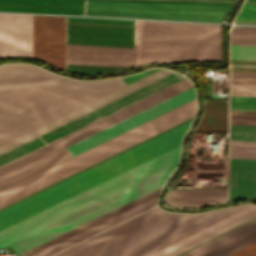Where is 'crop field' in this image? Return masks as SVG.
<instances>
[{
	"mask_svg": "<svg viewBox=\"0 0 256 256\" xmlns=\"http://www.w3.org/2000/svg\"><path fill=\"white\" fill-rule=\"evenodd\" d=\"M126 86L77 81L27 64L0 66V145Z\"/></svg>",
	"mask_w": 256,
	"mask_h": 256,
	"instance_id": "2",
	"label": "crop field"
},
{
	"mask_svg": "<svg viewBox=\"0 0 256 256\" xmlns=\"http://www.w3.org/2000/svg\"><path fill=\"white\" fill-rule=\"evenodd\" d=\"M33 58L65 71V17L33 15Z\"/></svg>",
	"mask_w": 256,
	"mask_h": 256,
	"instance_id": "10",
	"label": "crop field"
},
{
	"mask_svg": "<svg viewBox=\"0 0 256 256\" xmlns=\"http://www.w3.org/2000/svg\"><path fill=\"white\" fill-rule=\"evenodd\" d=\"M255 209H256V205H252V206H250V207H248V208H246V209H244V210H242V211H240V212H238V213H236V214H234V215H232V216H230L212 226H209V227H207V228H205V229H203V230H201V231H199V232H197V233H195V234H193V235H191V236H189V237H187L169 247H166L150 256H161V255H163L175 248H178V247H180V246H182V245H184V244H186V243H188V242H190V241H192V240H194V239H196V238H198V237H200L218 227H221V226H223V225H225V224H227V223H229V222H231V221H233V220H235V219H237Z\"/></svg>",
	"mask_w": 256,
	"mask_h": 256,
	"instance_id": "21",
	"label": "crop field"
},
{
	"mask_svg": "<svg viewBox=\"0 0 256 256\" xmlns=\"http://www.w3.org/2000/svg\"><path fill=\"white\" fill-rule=\"evenodd\" d=\"M71 157L56 141L0 167V190Z\"/></svg>",
	"mask_w": 256,
	"mask_h": 256,
	"instance_id": "12",
	"label": "crop field"
},
{
	"mask_svg": "<svg viewBox=\"0 0 256 256\" xmlns=\"http://www.w3.org/2000/svg\"><path fill=\"white\" fill-rule=\"evenodd\" d=\"M183 80L174 72L0 154V166Z\"/></svg>",
	"mask_w": 256,
	"mask_h": 256,
	"instance_id": "9",
	"label": "crop field"
},
{
	"mask_svg": "<svg viewBox=\"0 0 256 256\" xmlns=\"http://www.w3.org/2000/svg\"><path fill=\"white\" fill-rule=\"evenodd\" d=\"M256 197V160L230 159V201Z\"/></svg>",
	"mask_w": 256,
	"mask_h": 256,
	"instance_id": "17",
	"label": "crop field"
},
{
	"mask_svg": "<svg viewBox=\"0 0 256 256\" xmlns=\"http://www.w3.org/2000/svg\"><path fill=\"white\" fill-rule=\"evenodd\" d=\"M192 84L183 80L167 89H164L146 99H143L127 108H124L108 117H105L89 126H86L68 136H65L57 142L63 147H67L87 136H90L114 123H117L139 111H142L166 98H169L189 87H191Z\"/></svg>",
	"mask_w": 256,
	"mask_h": 256,
	"instance_id": "14",
	"label": "crop field"
},
{
	"mask_svg": "<svg viewBox=\"0 0 256 256\" xmlns=\"http://www.w3.org/2000/svg\"><path fill=\"white\" fill-rule=\"evenodd\" d=\"M230 139L256 140V126L230 125Z\"/></svg>",
	"mask_w": 256,
	"mask_h": 256,
	"instance_id": "26",
	"label": "crop field"
},
{
	"mask_svg": "<svg viewBox=\"0 0 256 256\" xmlns=\"http://www.w3.org/2000/svg\"><path fill=\"white\" fill-rule=\"evenodd\" d=\"M236 20L256 21V3H244Z\"/></svg>",
	"mask_w": 256,
	"mask_h": 256,
	"instance_id": "31",
	"label": "crop field"
},
{
	"mask_svg": "<svg viewBox=\"0 0 256 256\" xmlns=\"http://www.w3.org/2000/svg\"><path fill=\"white\" fill-rule=\"evenodd\" d=\"M180 145L32 215L0 231V248L11 247L17 254L100 214L162 187L174 170ZM158 189V188H157ZM156 190V189H155ZM156 190L66 234H63L28 252L29 256H48L103 229L140 213L154 205L159 193Z\"/></svg>",
	"mask_w": 256,
	"mask_h": 256,
	"instance_id": "1",
	"label": "crop field"
},
{
	"mask_svg": "<svg viewBox=\"0 0 256 256\" xmlns=\"http://www.w3.org/2000/svg\"><path fill=\"white\" fill-rule=\"evenodd\" d=\"M130 68V20L66 17V71L93 75Z\"/></svg>",
	"mask_w": 256,
	"mask_h": 256,
	"instance_id": "5",
	"label": "crop field"
},
{
	"mask_svg": "<svg viewBox=\"0 0 256 256\" xmlns=\"http://www.w3.org/2000/svg\"><path fill=\"white\" fill-rule=\"evenodd\" d=\"M229 256H256V242Z\"/></svg>",
	"mask_w": 256,
	"mask_h": 256,
	"instance_id": "33",
	"label": "crop field"
},
{
	"mask_svg": "<svg viewBox=\"0 0 256 256\" xmlns=\"http://www.w3.org/2000/svg\"><path fill=\"white\" fill-rule=\"evenodd\" d=\"M230 95L256 96V85L231 84Z\"/></svg>",
	"mask_w": 256,
	"mask_h": 256,
	"instance_id": "32",
	"label": "crop field"
},
{
	"mask_svg": "<svg viewBox=\"0 0 256 256\" xmlns=\"http://www.w3.org/2000/svg\"><path fill=\"white\" fill-rule=\"evenodd\" d=\"M256 230V219L229 231L189 252H186L180 256H205L253 231Z\"/></svg>",
	"mask_w": 256,
	"mask_h": 256,
	"instance_id": "19",
	"label": "crop field"
},
{
	"mask_svg": "<svg viewBox=\"0 0 256 256\" xmlns=\"http://www.w3.org/2000/svg\"><path fill=\"white\" fill-rule=\"evenodd\" d=\"M256 216V210L163 256H175Z\"/></svg>",
	"mask_w": 256,
	"mask_h": 256,
	"instance_id": "22",
	"label": "crop field"
},
{
	"mask_svg": "<svg viewBox=\"0 0 256 256\" xmlns=\"http://www.w3.org/2000/svg\"><path fill=\"white\" fill-rule=\"evenodd\" d=\"M32 58V15L0 14V58Z\"/></svg>",
	"mask_w": 256,
	"mask_h": 256,
	"instance_id": "13",
	"label": "crop field"
},
{
	"mask_svg": "<svg viewBox=\"0 0 256 256\" xmlns=\"http://www.w3.org/2000/svg\"><path fill=\"white\" fill-rule=\"evenodd\" d=\"M182 61H222V25L131 20V68Z\"/></svg>",
	"mask_w": 256,
	"mask_h": 256,
	"instance_id": "4",
	"label": "crop field"
},
{
	"mask_svg": "<svg viewBox=\"0 0 256 256\" xmlns=\"http://www.w3.org/2000/svg\"><path fill=\"white\" fill-rule=\"evenodd\" d=\"M195 98L193 87L166 99L142 112H139L117 124H114L90 137H87L67 148L72 156L91 148L107 139H110L124 131H127L141 123H144L158 115H161L177 106H180Z\"/></svg>",
	"mask_w": 256,
	"mask_h": 256,
	"instance_id": "11",
	"label": "crop field"
},
{
	"mask_svg": "<svg viewBox=\"0 0 256 256\" xmlns=\"http://www.w3.org/2000/svg\"><path fill=\"white\" fill-rule=\"evenodd\" d=\"M0 11L84 15V1L0 0Z\"/></svg>",
	"mask_w": 256,
	"mask_h": 256,
	"instance_id": "16",
	"label": "crop field"
},
{
	"mask_svg": "<svg viewBox=\"0 0 256 256\" xmlns=\"http://www.w3.org/2000/svg\"><path fill=\"white\" fill-rule=\"evenodd\" d=\"M230 109L256 110V97L230 96Z\"/></svg>",
	"mask_w": 256,
	"mask_h": 256,
	"instance_id": "28",
	"label": "crop field"
},
{
	"mask_svg": "<svg viewBox=\"0 0 256 256\" xmlns=\"http://www.w3.org/2000/svg\"><path fill=\"white\" fill-rule=\"evenodd\" d=\"M226 195L227 190H170L166 202L177 207H202L226 202Z\"/></svg>",
	"mask_w": 256,
	"mask_h": 256,
	"instance_id": "18",
	"label": "crop field"
},
{
	"mask_svg": "<svg viewBox=\"0 0 256 256\" xmlns=\"http://www.w3.org/2000/svg\"><path fill=\"white\" fill-rule=\"evenodd\" d=\"M231 59L256 61V47L232 46Z\"/></svg>",
	"mask_w": 256,
	"mask_h": 256,
	"instance_id": "29",
	"label": "crop field"
},
{
	"mask_svg": "<svg viewBox=\"0 0 256 256\" xmlns=\"http://www.w3.org/2000/svg\"><path fill=\"white\" fill-rule=\"evenodd\" d=\"M245 2H256V0H245Z\"/></svg>",
	"mask_w": 256,
	"mask_h": 256,
	"instance_id": "35",
	"label": "crop field"
},
{
	"mask_svg": "<svg viewBox=\"0 0 256 256\" xmlns=\"http://www.w3.org/2000/svg\"><path fill=\"white\" fill-rule=\"evenodd\" d=\"M230 83L256 84V72L230 71Z\"/></svg>",
	"mask_w": 256,
	"mask_h": 256,
	"instance_id": "30",
	"label": "crop field"
},
{
	"mask_svg": "<svg viewBox=\"0 0 256 256\" xmlns=\"http://www.w3.org/2000/svg\"><path fill=\"white\" fill-rule=\"evenodd\" d=\"M230 124L256 125V111L230 110Z\"/></svg>",
	"mask_w": 256,
	"mask_h": 256,
	"instance_id": "27",
	"label": "crop field"
},
{
	"mask_svg": "<svg viewBox=\"0 0 256 256\" xmlns=\"http://www.w3.org/2000/svg\"><path fill=\"white\" fill-rule=\"evenodd\" d=\"M195 114V99L0 192V207L175 125Z\"/></svg>",
	"mask_w": 256,
	"mask_h": 256,
	"instance_id": "7",
	"label": "crop field"
},
{
	"mask_svg": "<svg viewBox=\"0 0 256 256\" xmlns=\"http://www.w3.org/2000/svg\"><path fill=\"white\" fill-rule=\"evenodd\" d=\"M255 241H256V231L207 256H227Z\"/></svg>",
	"mask_w": 256,
	"mask_h": 256,
	"instance_id": "25",
	"label": "crop field"
},
{
	"mask_svg": "<svg viewBox=\"0 0 256 256\" xmlns=\"http://www.w3.org/2000/svg\"><path fill=\"white\" fill-rule=\"evenodd\" d=\"M231 6L215 4L85 1V15L222 22Z\"/></svg>",
	"mask_w": 256,
	"mask_h": 256,
	"instance_id": "8",
	"label": "crop field"
},
{
	"mask_svg": "<svg viewBox=\"0 0 256 256\" xmlns=\"http://www.w3.org/2000/svg\"><path fill=\"white\" fill-rule=\"evenodd\" d=\"M170 72H172V71L161 69V70H159V71H157V72H155V73H153V74H151V75H149L145 78H142V79H140V80H138V81H136V82H134V83H132V84H130V85H128V86H126V87H124V88H122V89H120V90H118V91H116L112 94H110V95H107V96H105V97H103V98H101V99H99V100H97L93 103H90V104H88V105H86V106H84V107H82V108H80V109H78L74 112H71V113H69V114H67V115H65V116H63V117H61V118H59L55 121H52V122L38 128L36 130H33V131H31V132H29V133H27V134H25V135H23L19 138H16V139L0 146V153L4 152L6 150H9V149L27 141V140H30V139L48 131V130H51V129H53V128L65 123L69 120H72V119H74V118H76V117H78V116H80V115H82V114H84V113H86L90 110H93V109H95V108H97V107H99V106H101V105H103V104H105V103H107L111 100H114V99H116V98L130 92V91H133V90H135V89H137V88H139V87H141V86H143V85H145V84H147L151 81H154V80H156V79H158V78H160V77H162V76H164V75H166Z\"/></svg>",
	"mask_w": 256,
	"mask_h": 256,
	"instance_id": "15",
	"label": "crop field"
},
{
	"mask_svg": "<svg viewBox=\"0 0 256 256\" xmlns=\"http://www.w3.org/2000/svg\"><path fill=\"white\" fill-rule=\"evenodd\" d=\"M104 1H141V2H178V3H215V4H233L220 3L221 1H235V0H221L220 2H190V1H160V0H104Z\"/></svg>",
	"mask_w": 256,
	"mask_h": 256,
	"instance_id": "34",
	"label": "crop field"
},
{
	"mask_svg": "<svg viewBox=\"0 0 256 256\" xmlns=\"http://www.w3.org/2000/svg\"><path fill=\"white\" fill-rule=\"evenodd\" d=\"M231 44L242 46H256V27H233L231 31Z\"/></svg>",
	"mask_w": 256,
	"mask_h": 256,
	"instance_id": "24",
	"label": "crop field"
},
{
	"mask_svg": "<svg viewBox=\"0 0 256 256\" xmlns=\"http://www.w3.org/2000/svg\"><path fill=\"white\" fill-rule=\"evenodd\" d=\"M252 204L236 206L230 210L221 209L203 214H174L154 207L136 217L114 226L81 244H76L52 256H83L107 243H110L140 227H143L167 214V216L138 229L110 244H107L85 256H135L157 244H160L226 210V212L160 244L137 256H148L182 238H185L245 207Z\"/></svg>",
	"mask_w": 256,
	"mask_h": 256,
	"instance_id": "3",
	"label": "crop field"
},
{
	"mask_svg": "<svg viewBox=\"0 0 256 256\" xmlns=\"http://www.w3.org/2000/svg\"><path fill=\"white\" fill-rule=\"evenodd\" d=\"M190 122L0 211V229L179 145Z\"/></svg>",
	"mask_w": 256,
	"mask_h": 256,
	"instance_id": "6",
	"label": "crop field"
},
{
	"mask_svg": "<svg viewBox=\"0 0 256 256\" xmlns=\"http://www.w3.org/2000/svg\"><path fill=\"white\" fill-rule=\"evenodd\" d=\"M230 158L256 159V141L230 140Z\"/></svg>",
	"mask_w": 256,
	"mask_h": 256,
	"instance_id": "23",
	"label": "crop field"
},
{
	"mask_svg": "<svg viewBox=\"0 0 256 256\" xmlns=\"http://www.w3.org/2000/svg\"><path fill=\"white\" fill-rule=\"evenodd\" d=\"M228 103L206 101L203 117L196 131H227Z\"/></svg>",
	"mask_w": 256,
	"mask_h": 256,
	"instance_id": "20",
	"label": "crop field"
}]
</instances>
